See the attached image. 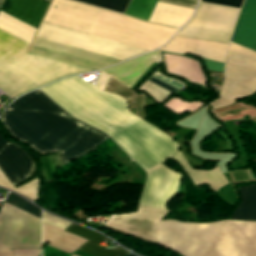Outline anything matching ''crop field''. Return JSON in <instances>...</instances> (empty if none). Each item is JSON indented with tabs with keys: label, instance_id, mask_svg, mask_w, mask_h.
I'll list each match as a JSON object with an SVG mask.
<instances>
[{
	"label": "crop field",
	"instance_id": "00972430",
	"mask_svg": "<svg viewBox=\"0 0 256 256\" xmlns=\"http://www.w3.org/2000/svg\"><path fill=\"white\" fill-rule=\"evenodd\" d=\"M109 10L124 13L130 0H76Z\"/></svg>",
	"mask_w": 256,
	"mask_h": 256
},
{
	"label": "crop field",
	"instance_id": "92a150f3",
	"mask_svg": "<svg viewBox=\"0 0 256 256\" xmlns=\"http://www.w3.org/2000/svg\"><path fill=\"white\" fill-rule=\"evenodd\" d=\"M155 2L156 0H132L125 14L147 21Z\"/></svg>",
	"mask_w": 256,
	"mask_h": 256
},
{
	"label": "crop field",
	"instance_id": "a9b5d70f",
	"mask_svg": "<svg viewBox=\"0 0 256 256\" xmlns=\"http://www.w3.org/2000/svg\"><path fill=\"white\" fill-rule=\"evenodd\" d=\"M6 202L40 218V209L36 208L35 206L27 203L26 201H24L23 199H21L20 197L9 193Z\"/></svg>",
	"mask_w": 256,
	"mask_h": 256
},
{
	"label": "crop field",
	"instance_id": "5142ce71",
	"mask_svg": "<svg viewBox=\"0 0 256 256\" xmlns=\"http://www.w3.org/2000/svg\"><path fill=\"white\" fill-rule=\"evenodd\" d=\"M49 3L47 0H5L1 11L38 28Z\"/></svg>",
	"mask_w": 256,
	"mask_h": 256
},
{
	"label": "crop field",
	"instance_id": "d9b57169",
	"mask_svg": "<svg viewBox=\"0 0 256 256\" xmlns=\"http://www.w3.org/2000/svg\"><path fill=\"white\" fill-rule=\"evenodd\" d=\"M190 176L193 180L197 190L205 183L209 188H211L214 192L224 185L227 184V181L224 179L223 175L219 171V169L214 166V168L210 171H200L193 170L190 165L185 161L180 149L178 153L172 157Z\"/></svg>",
	"mask_w": 256,
	"mask_h": 256
},
{
	"label": "crop field",
	"instance_id": "5a996713",
	"mask_svg": "<svg viewBox=\"0 0 256 256\" xmlns=\"http://www.w3.org/2000/svg\"><path fill=\"white\" fill-rule=\"evenodd\" d=\"M36 37L123 60H127L148 52L43 22L36 33Z\"/></svg>",
	"mask_w": 256,
	"mask_h": 256
},
{
	"label": "crop field",
	"instance_id": "f4fd0767",
	"mask_svg": "<svg viewBox=\"0 0 256 256\" xmlns=\"http://www.w3.org/2000/svg\"><path fill=\"white\" fill-rule=\"evenodd\" d=\"M28 47L0 30V89L12 97L61 77L92 71L28 54Z\"/></svg>",
	"mask_w": 256,
	"mask_h": 256
},
{
	"label": "crop field",
	"instance_id": "dafd665d",
	"mask_svg": "<svg viewBox=\"0 0 256 256\" xmlns=\"http://www.w3.org/2000/svg\"><path fill=\"white\" fill-rule=\"evenodd\" d=\"M38 182H39V179L35 178L32 181L15 189L0 171V185L1 186L9 188L15 192L20 193V194L26 195V196L30 197L31 199H33L34 201L37 200Z\"/></svg>",
	"mask_w": 256,
	"mask_h": 256
},
{
	"label": "crop field",
	"instance_id": "bc2a9ffb",
	"mask_svg": "<svg viewBox=\"0 0 256 256\" xmlns=\"http://www.w3.org/2000/svg\"><path fill=\"white\" fill-rule=\"evenodd\" d=\"M238 189L242 202L232 214L231 219L256 220V185Z\"/></svg>",
	"mask_w": 256,
	"mask_h": 256
},
{
	"label": "crop field",
	"instance_id": "cbeb9de0",
	"mask_svg": "<svg viewBox=\"0 0 256 256\" xmlns=\"http://www.w3.org/2000/svg\"><path fill=\"white\" fill-rule=\"evenodd\" d=\"M227 46L228 45L174 36L161 50L180 54H194L198 57L224 62Z\"/></svg>",
	"mask_w": 256,
	"mask_h": 256
},
{
	"label": "crop field",
	"instance_id": "ac0d7876",
	"mask_svg": "<svg viewBox=\"0 0 256 256\" xmlns=\"http://www.w3.org/2000/svg\"><path fill=\"white\" fill-rule=\"evenodd\" d=\"M0 121L13 138L36 153L81 124L40 91L17 99L4 111ZM96 130L83 123L38 154L59 152L61 166L91 151L107 138Z\"/></svg>",
	"mask_w": 256,
	"mask_h": 256
},
{
	"label": "crop field",
	"instance_id": "4a817a6b",
	"mask_svg": "<svg viewBox=\"0 0 256 256\" xmlns=\"http://www.w3.org/2000/svg\"><path fill=\"white\" fill-rule=\"evenodd\" d=\"M85 241L87 240L67 233L63 229L43 225V243L48 246L71 253Z\"/></svg>",
	"mask_w": 256,
	"mask_h": 256
},
{
	"label": "crop field",
	"instance_id": "22f410ed",
	"mask_svg": "<svg viewBox=\"0 0 256 256\" xmlns=\"http://www.w3.org/2000/svg\"><path fill=\"white\" fill-rule=\"evenodd\" d=\"M170 211L139 207L136 213L112 215L106 225L156 241L155 228Z\"/></svg>",
	"mask_w": 256,
	"mask_h": 256
},
{
	"label": "crop field",
	"instance_id": "dd49c442",
	"mask_svg": "<svg viewBox=\"0 0 256 256\" xmlns=\"http://www.w3.org/2000/svg\"><path fill=\"white\" fill-rule=\"evenodd\" d=\"M232 41L250 49L256 44V0H246ZM233 42L226 57V81L218 100L211 103L213 109L256 91V52Z\"/></svg>",
	"mask_w": 256,
	"mask_h": 256
},
{
	"label": "crop field",
	"instance_id": "120bbe31",
	"mask_svg": "<svg viewBox=\"0 0 256 256\" xmlns=\"http://www.w3.org/2000/svg\"><path fill=\"white\" fill-rule=\"evenodd\" d=\"M127 256H133V255H131V254L129 255V254H128Z\"/></svg>",
	"mask_w": 256,
	"mask_h": 256
},
{
	"label": "crop field",
	"instance_id": "bd1437ed",
	"mask_svg": "<svg viewBox=\"0 0 256 256\" xmlns=\"http://www.w3.org/2000/svg\"><path fill=\"white\" fill-rule=\"evenodd\" d=\"M0 256H13L12 251L0 248Z\"/></svg>",
	"mask_w": 256,
	"mask_h": 256
},
{
	"label": "crop field",
	"instance_id": "28ad6ade",
	"mask_svg": "<svg viewBox=\"0 0 256 256\" xmlns=\"http://www.w3.org/2000/svg\"><path fill=\"white\" fill-rule=\"evenodd\" d=\"M32 43L43 45V46H46V47H50V48H53V49H57V50H60V51L75 54V55H78V56H82V57H85V58H89V59H92V60H96V61H99V62L111 64V65H114L116 63H119V62L123 61V60L111 58V57H108V56H104V55H100V54H96V53H92V52L72 48V47H69V46H65V45H62V44L54 43V42L47 41V40L40 39V38H36V37L34 38ZM39 45L32 44L28 52L33 53V54H37V55H41V56H44V57L52 58V59H55V60L67 62V63H70V64L87 67V68H90V69H93V70H97V69H101V68H105V67L110 66V65H106V64H103V63H99V62H96V61H92V60L85 59V58H82V57H78V56H75V55L67 54V53H64V52H60V51L53 50V49H50V48H46V47L39 46Z\"/></svg>",
	"mask_w": 256,
	"mask_h": 256
},
{
	"label": "crop field",
	"instance_id": "3316defc",
	"mask_svg": "<svg viewBox=\"0 0 256 256\" xmlns=\"http://www.w3.org/2000/svg\"><path fill=\"white\" fill-rule=\"evenodd\" d=\"M154 61L160 63V54L158 49L149 54L111 66L99 72L110 76L130 88ZM113 79H110L105 89L106 92L115 93L125 98L126 101L138 95Z\"/></svg>",
	"mask_w": 256,
	"mask_h": 256
},
{
	"label": "crop field",
	"instance_id": "214f88e0",
	"mask_svg": "<svg viewBox=\"0 0 256 256\" xmlns=\"http://www.w3.org/2000/svg\"><path fill=\"white\" fill-rule=\"evenodd\" d=\"M0 29L31 43L36 29L0 12Z\"/></svg>",
	"mask_w": 256,
	"mask_h": 256
},
{
	"label": "crop field",
	"instance_id": "4177f3b9",
	"mask_svg": "<svg viewBox=\"0 0 256 256\" xmlns=\"http://www.w3.org/2000/svg\"><path fill=\"white\" fill-rule=\"evenodd\" d=\"M141 89L148 92L151 96H153L159 102L170 94V92H168L167 90L161 88L160 86H158L148 80L144 83V85L141 87Z\"/></svg>",
	"mask_w": 256,
	"mask_h": 256
},
{
	"label": "crop field",
	"instance_id": "e52e79f7",
	"mask_svg": "<svg viewBox=\"0 0 256 256\" xmlns=\"http://www.w3.org/2000/svg\"><path fill=\"white\" fill-rule=\"evenodd\" d=\"M238 11L200 2L194 17L176 35L228 44Z\"/></svg>",
	"mask_w": 256,
	"mask_h": 256
},
{
	"label": "crop field",
	"instance_id": "750c4746",
	"mask_svg": "<svg viewBox=\"0 0 256 256\" xmlns=\"http://www.w3.org/2000/svg\"><path fill=\"white\" fill-rule=\"evenodd\" d=\"M148 80H150V81H152V82H154V83H156V84H158V85H160V86H162L163 88H165V89H167L168 91H170V92H172V93H176V92H178V90H176V89H174V88H172V87H170V86H168V85H166V84H164V83H162V82H160V81H158V80H156V79H154V78H149Z\"/></svg>",
	"mask_w": 256,
	"mask_h": 256
},
{
	"label": "crop field",
	"instance_id": "1d83c4d3",
	"mask_svg": "<svg viewBox=\"0 0 256 256\" xmlns=\"http://www.w3.org/2000/svg\"><path fill=\"white\" fill-rule=\"evenodd\" d=\"M253 50H255V51H256V46L253 48Z\"/></svg>",
	"mask_w": 256,
	"mask_h": 256
},
{
	"label": "crop field",
	"instance_id": "d1516ede",
	"mask_svg": "<svg viewBox=\"0 0 256 256\" xmlns=\"http://www.w3.org/2000/svg\"><path fill=\"white\" fill-rule=\"evenodd\" d=\"M0 170L17 186L30 177L34 170L32 157L15 143L0 134Z\"/></svg>",
	"mask_w": 256,
	"mask_h": 256
},
{
	"label": "crop field",
	"instance_id": "412701ff",
	"mask_svg": "<svg viewBox=\"0 0 256 256\" xmlns=\"http://www.w3.org/2000/svg\"><path fill=\"white\" fill-rule=\"evenodd\" d=\"M157 244L183 256H256V223L224 220L185 224L165 220L157 224Z\"/></svg>",
	"mask_w": 256,
	"mask_h": 256
},
{
	"label": "crop field",
	"instance_id": "733c2abd",
	"mask_svg": "<svg viewBox=\"0 0 256 256\" xmlns=\"http://www.w3.org/2000/svg\"><path fill=\"white\" fill-rule=\"evenodd\" d=\"M65 231L89 240L88 242H85L84 244H82V246L78 249V251L88 254L90 256H125L128 254V252L120 248L113 251L101 249L96 244L99 241L108 240V239L100 236L99 234L91 230L78 226L76 224L70 225L68 228L65 229Z\"/></svg>",
	"mask_w": 256,
	"mask_h": 256
},
{
	"label": "crop field",
	"instance_id": "34b2d1b8",
	"mask_svg": "<svg viewBox=\"0 0 256 256\" xmlns=\"http://www.w3.org/2000/svg\"><path fill=\"white\" fill-rule=\"evenodd\" d=\"M43 22L148 51L160 47L178 30L69 0H52Z\"/></svg>",
	"mask_w": 256,
	"mask_h": 256
},
{
	"label": "crop field",
	"instance_id": "d3111659",
	"mask_svg": "<svg viewBox=\"0 0 256 256\" xmlns=\"http://www.w3.org/2000/svg\"><path fill=\"white\" fill-rule=\"evenodd\" d=\"M249 171H250L253 179H255L252 171L251 170H249ZM232 174H233L234 179H235L236 182L249 180L244 170L239 171V172H232Z\"/></svg>",
	"mask_w": 256,
	"mask_h": 256
},
{
	"label": "crop field",
	"instance_id": "eef30255",
	"mask_svg": "<svg viewBox=\"0 0 256 256\" xmlns=\"http://www.w3.org/2000/svg\"><path fill=\"white\" fill-rule=\"evenodd\" d=\"M204 2H210L215 4L227 5L232 7L240 8L242 5L243 0H201Z\"/></svg>",
	"mask_w": 256,
	"mask_h": 256
},
{
	"label": "crop field",
	"instance_id": "d8731c3e",
	"mask_svg": "<svg viewBox=\"0 0 256 256\" xmlns=\"http://www.w3.org/2000/svg\"><path fill=\"white\" fill-rule=\"evenodd\" d=\"M0 247L41 249L40 220L4 202L0 210Z\"/></svg>",
	"mask_w": 256,
	"mask_h": 256
},
{
	"label": "crop field",
	"instance_id": "d32e631a",
	"mask_svg": "<svg viewBox=\"0 0 256 256\" xmlns=\"http://www.w3.org/2000/svg\"><path fill=\"white\" fill-rule=\"evenodd\" d=\"M71 256H76V255L72 254Z\"/></svg>",
	"mask_w": 256,
	"mask_h": 256
},
{
	"label": "crop field",
	"instance_id": "ae1a2a85",
	"mask_svg": "<svg viewBox=\"0 0 256 256\" xmlns=\"http://www.w3.org/2000/svg\"><path fill=\"white\" fill-rule=\"evenodd\" d=\"M41 250L35 249H21V250H13L14 256H38Z\"/></svg>",
	"mask_w": 256,
	"mask_h": 256
},
{
	"label": "crop field",
	"instance_id": "730fd06b",
	"mask_svg": "<svg viewBox=\"0 0 256 256\" xmlns=\"http://www.w3.org/2000/svg\"><path fill=\"white\" fill-rule=\"evenodd\" d=\"M42 223L52 225L55 227H59V228H63V229H65L66 227H68L70 225V222L59 219V218L49 215L45 212L42 213Z\"/></svg>",
	"mask_w": 256,
	"mask_h": 256
},
{
	"label": "crop field",
	"instance_id": "8a807250",
	"mask_svg": "<svg viewBox=\"0 0 256 256\" xmlns=\"http://www.w3.org/2000/svg\"><path fill=\"white\" fill-rule=\"evenodd\" d=\"M109 77L100 73L95 85L77 76L68 77L44 88L70 115L107 133L109 136L142 120L127 111L123 98L103 92ZM147 174L172 156L178 144L152 124L142 120L110 136ZM183 175L161 166L147 176L139 206L166 209Z\"/></svg>",
	"mask_w": 256,
	"mask_h": 256
}]
</instances>
